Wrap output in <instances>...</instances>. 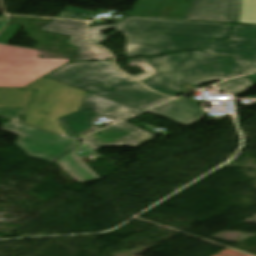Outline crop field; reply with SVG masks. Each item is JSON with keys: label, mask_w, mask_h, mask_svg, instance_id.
Segmentation results:
<instances>
[{"label": "crop field", "mask_w": 256, "mask_h": 256, "mask_svg": "<svg viewBox=\"0 0 256 256\" xmlns=\"http://www.w3.org/2000/svg\"><path fill=\"white\" fill-rule=\"evenodd\" d=\"M138 112L141 111L88 92L79 112L59 118V121L70 138H79L99 130L92 121L100 116L117 122Z\"/></svg>", "instance_id": "crop-field-6"}, {"label": "crop field", "mask_w": 256, "mask_h": 256, "mask_svg": "<svg viewBox=\"0 0 256 256\" xmlns=\"http://www.w3.org/2000/svg\"><path fill=\"white\" fill-rule=\"evenodd\" d=\"M78 149L83 152L80 154L76 153L75 151ZM96 153L97 152L89 148L87 145L83 144L70 154L58 160L57 163L76 180L84 182L98 180L100 178L84 162L80 160L88 155Z\"/></svg>", "instance_id": "crop-field-14"}, {"label": "crop field", "mask_w": 256, "mask_h": 256, "mask_svg": "<svg viewBox=\"0 0 256 256\" xmlns=\"http://www.w3.org/2000/svg\"><path fill=\"white\" fill-rule=\"evenodd\" d=\"M71 59L39 58V51L0 44V87H23Z\"/></svg>", "instance_id": "crop-field-5"}, {"label": "crop field", "mask_w": 256, "mask_h": 256, "mask_svg": "<svg viewBox=\"0 0 256 256\" xmlns=\"http://www.w3.org/2000/svg\"><path fill=\"white\" fill-rule=\"evenodd\" d=\"M237 23L256 24V0H241Z\"/></svg>", "instance_id": "crop-field-16"}, {"label": "crop field", "mask_w": 256, "mask_h": 256, "mask_svg": "<svg viewBox=\"0 0 256 256\" xmlns=\"http://www.w3.org/2000/svg\"><path fill=\"white\" fill-rule=\"evenodd\" d=\"M24 89H36L26 113V123L66 134L57 118L77 112L86 95L70 85L42 78Z\"/></svg>", "instance_id": "crop-field-4"}, {"label": "crop field", "mask_w": 256, "mask_h": 256, "mask_svg": "<svg viewBox=\"0 0 256 256\" xmlns=\"http://www.w3.org/2000/svg\"><path fill=\"white\" fill-rule=\"evenodd\" d=\"M91 53L94 55V59L92 61H95V60H111L110 54L102 48H100L96 51H93Z\"/></svg>", "instance_id": "crop-field-21"}, {"label": "crop field", "mask_w": 256, "mask_h": 256, "mask_svg": "<svg viewBox=\"0 0 256 256\" xmlns=\"http://www.w3.org/2000/svg\"><path fill=\"white\" fill-rule=\"evenodd\" d=\"M154 75L155 74H153L151 72H145V73H141V74H138V75H134L133 77H135L139 81L143 82V81H146L147 79H149L150 77H152Z\"/></svg>", "instance_id": "crop-field-22"}, {"label": "crop field", "mask_w": 256, "mask_h": 256, "mask_svg": "<svg viewBox=\"0 0 256 256\" xmlns=\"http://www.w3.org/2000/svg\"><path fill=\"white\" fill-rule=\"evenodd\" d=\"M35 90L0 89V108H26Z\"/></svg>", "instance_id": "crop-field-15"}, {"label": "crop field", "mask_w": 256, "mask_h": 256, "mask_svg": "<svg viewBox=\"0 0 256 256\" xmlns=\"http://www.w3.org/2000/svg\"><path fill=\"white\" fill-rule=\"evenodd\" d=\"M135 13L126 16L146 18H168L184 20L188 9L186 0H138Z\"/></svg>", "instance_id": "crop-field-11"}, {"label": "crop field", "mask_w": 256, "mask_h": 256, "mask_svg": "<svg viewBox=\"0 0 256 256\" xmlns=\"http://www.w3.org/2000/svg\"><path fill=\"white\" fill-rule=\"evenodd\" d=\"M41 30L71 36L69 44L76 45L80 49L76 54L80 57L76 58L74 61H90L93 59V55L89 52L100 48L97 45L87 43L84 39L85 22L53 19L47 26L42 27Z\"/></svg>", "instance_id": "crop-field-12"}, {"label": "crop field", "mask_w": 256, "mask_h": 256, "mask_svg": "<svg viewBox=\"0 0 256 256\" xmlns=\"http://www.w3.org/2000/svg\"><path fill=\"white\" fill-rule=\"evenodd\" d=\"M154 137L140 128L123 121L81 140L96 150L108 145L135 147Z\"/></svg>", "instance_id": "crop-field-9"}, {"label": "crop field", "mask_w": 256, "mask_h": 256, "mask_svg": "<svg viewBox=\"0 0 256 256\" xmlns=\"http://www.w3.org/2000/svg\"><path fill=\"white\" fill-rule=\"evenodd\" d=\"M217 86L233 95L241 94L246 90L254 87L253 84L250 82V80L247 78V76L232 79V80L223 82Z\"/></svg>", "instance_id": "crop-field-17"}, {"label": "crop field", "mask_w": 256, "mask_h": 256, "mask_svg": "<svg viewBox=\"0 0 256 256\" xmlns=\"http://www.w3.org/2000/svg\"><path fill=\"white\" fill-rule=\"evenodd\" d=\"M173 122L189 126L206 116L200 105L182 97L147 111Z\"/></svg>", "instance_id": "crop-field-13"}, {"label": "crop field", "mask_w": 256, "mask_h": 256, "mask_svg": "<svg viewBox=\"0 0 256 256\" xmlns=\"http://www.w3.org/2000/svg\"><path fill=\"white\" fill-rule=\"evenodd\" d=\"M46 77L145 111L169 98L146 90L112 61L70 62Z\"/></svg>", "instance_id": "crop-field-2"}, {"label": "crop field", "mask_w": 256, "mask_h": 256, "mask_svg": "<svg viewBox=\"0 0 256 256\" xmlns=\"http://www.w3.org/2000/svg\"><path fill=\"white\" fill-rule=\"evenodd\" d=\"M240 0H190L185 20L236 23Z\"/></svg>", "instance_id": "crop-field-10"}, {"label": "crop field", "mask_w": 256, "mask_h": 256, "mask_svg": "<svg viewBox=\"0 0 256 256\" xmlns=\"http://www.w3.org/2000/svg\"><path fill=\"white\" fill-rule=\"evenodd\" d=\"M2 130L19 135L15 144L22 148L29 157L51 163L83 144L15 121Z\"/></svg>", "instance_id": "crop-field-7"}, {"label": "crop field", "mask_w": 256, "mask_h": 256, "mask_svg": "<svg viewBox=\"0 0 256 256\" xmlns=\"http://www.w3.org/2000/svg\"><path fill=\"white\" fill-rule=\"evenodd\" d=\"M89 13H91V12L90 11L81 10V9H76V8L68 7L66 10H64L57 17L83 19Z\"/></svg>", "instance_id": "crop-field-18"}, {"label": "crop field", "mask_w": 256, "mask_h": 256, "mask_svg": "<svg viewBox=\"0 0 256 256\" xmlns=\"http://www.w3.org/2000/svg\"><path fill=\"white\" fill-rule=\"evenodd\" d=\"M129 62L152 64L158 74L143 84L172 97L184 91L181 88L183 83L200 85L243 74L231 57L216 56L201 51L153 59L135 58Z\"/></svg>", "instance_id": "crop-field-3"}, {"label": "crop field", "mask_w": 256, "mask_h": 256, "mask_svg": "<svg viewBox=\"0 0 256 256\" xmlns=\"http://www.w3.org/2000/svg\"><path fill=\"white\" fill-rule=\"evenodd\" d=\"M7 21V19L5 17H1L0 16V29L2 28V26L5 24V22Z\"/></svg>", "instance_id": "crop-field-24"}, {"label": "crop field", "mask_w": 256, "mask_h": 256, "mask_svg": "<svg viewBox=\"0 0 256 256\" xmlns=\"http://www.w3.org/2000/svg\"><path fill=\"white\" fill-rule=\"evenodd\" d=\"M231 26L126 17L120 23L89 27L88 39L98 43L116 33H123L128 45L132 44L126 53L128 58L152 57L201 49L210 39H226ZM108 29L115 30L110 35L100 34Z\"/></svg>", "instance_id": "crop-field-1"}, {"label": "crop field", "mask_w": 256, "mask_h": 256, "mask_svg": "<svg viewBox=\"0 0 256 256\" xmlns=\"http://www.w3.org/2000/svg\"><path fill=\"white\" fill-rule=\"evenodd\" d=\"M25 110L26 109L1 108L0 114L20 121Z\"/></svg>", "instance_id": "crop-field-20"}, {"label": "crop field", "mask_w": 256, "mask_h": 256, "mask_svg": "<svg viewBox=\"0 0 256 256\" xmlns=\"http://www.w3.org/2000/svg\"><path fill=\"white\" fill-rule=\"evenodd\" d=\"M129 47H130V46H129ZM129 47H128V48H129ZM127 50H128V49H127Z\"/></svg>", "instance_id": "crop-field-25"}, {"label": "crop field", "mask_w": 256, "mask_h": 256, "mask_svg": "<svg viewBox=\"0 0 256 256\" xmlns=\"http://www.w3.org/2000/svg\"><path fill=\"white\" fill-rule=\"evenodd\" d=\"M142 68H144L145 70H147V71H151V72H153V73H157L156 71H155V69L152 67V65H140Z\"/></svg>", "instance_id": "crop-field-23"}, {"label": "crop field", "mask_w": 256, "mask_h": 256, "mask_svg": "<svg viewBox=\"0 0 256 256\" xmlns=\"http://www.w3.org/2000/svg\"><path fill=\"white\" fill-rule=\"evenodd\" d=\"M20 26L7 24L0 33V43L7 44Z\"/></svg>", "instance_id": "crop-field-19"}, {"label": "crop field", "mask_w": 256, "mask_h": 256, "mask_svg": "<svg viewBox=\"0 0 256 256\" xmlns=\"http://www.w3.org/2000/svg\"><path fill=\"white\" fill-rule=\"evenodd\" d=\"M234 26V25H233ZM230 40H213L202 51L231 56L244 74L256 71V26L235 25Z\"/></svg>", "instance_id": "crop-field-8"}]
</instances>
